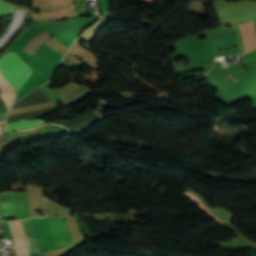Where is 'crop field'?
<instances>
[{"mask_svg": "<svg viewBox=\"0 0 256 256\" xmlns=\"http://www.w3.org/2000/svg\"><path fill=\"white\" fill-rule=\"evenodd\" d=\"M58 247L73 245V241L69 235L66 222L63 217H47ZM46 218L30 219L34 228L36 240L42 251L46 252L51 248H56L53 235Z\"/></svg>", "mask_w": 256, "mask_h": 256, "instance_id": "crop-field-1", "label": "crop field"}, {"mask_svg": "<svg viewBox=\"0 0 256 256\" xmlns=\"http://www.w3.org/2000/svg\"><path fill=\"white\" fill-rule=\"evenodd\" d=\"M0 90L1 94L0 97L2 98L3 102L5 103L7 109L12 104L14 99V90L13 88L4 80L2 75L0 74Z\"/></svg>", "mask_w": 256, "mask_h": 256, "instance_id": "crop-field-6", "label": "crop field"}, {"mask_svg": "<svg viewBox=\"0 0 256 256\" xmlns=\"http://www.w3.org/2000/svg\"><path fill=\"white\" fill-rule=\"evenodd\" d=\"M29 67L14 53L10 52L0 59V72L17 91L30 75Z\"/></svg>", "mask_w": 256, "mask_h": 256, "instance_id": "crop-field-2", "label": "crop field"}, {"mask_svg": "<svg viewBox=\"0 0 256 256\" xmlns=\"http://www.w3.org/2000/svg\"><path fill=\"white\" fill-rule=\"evenodd\" d=\"M44 121H40L38 119L30 120L26 122L25 120L7 124L6 130H13V129H30L36 127L39 123H43Z\"/></svg>", "mask_w": 256, "mask_h": 256, "instance_id": "crop-field-9", "label": "crop field"}, {"mask_svg": "<svg viewBox=\"0 0 256 256\" xmlns=\"http://www.w3.org/2000/svg\"><path fill=\"white\" fill-rule=\"evenodd\" d=\"M0 218H14L12 193H0Z\"/></svg>", "mask_w": 256, "mask_h": 256, "instance_id": "crop-field-5", "label": "crop field"}, {"mask_svg": "<svg viewBox=\"0 0 256 256\" xmlns=\"http://www.w3.org/2000/svg\"><path fill=\"white\" fill-rule=\"evenodd\" d=\"M10 222L12 224L10 225V227H11L12 236L14 238L17 256L29 255L30 253L27 249V245L25 243L24 236H23V230L19 221H10Z\"/></svg>", "mask_w": 256, "mask_h": 256, "instance_id": "crop-field-3", "label": "crop field"}, {"mask_svg": "<svg viewBox=\"0 0 256 256\" xmlns=\"http://www.w3.org/2000/svg\"><path fill=\"white\" fill-rule=\"evenodd\" d=\"M26 221H27V224H28V228H29V231H30V234H31V238H32V241H33V244H34L35 251L37 253H41V251L37 247L36 240H35V237H34V233H33V229H32V225L30 223V220L27 219ZM26 221L22 220V221H20V223H21V225L23 227L26 243L28 245L29 250L35 252L34 248H33V244H32L31 238H30V234H29V231H28V228H27Z\"/></svg>", "mask_w": 256, "mask_h": 256, "instance_id": "crop-field-8", "label": "crop field"}, {"mask_svg": "<svg viewBox=\"0 0 256 256\" xmlns=\"http://www.w3.org/2000/svg\"><path fill=\"white\" fill-rule=\"evenodd\" d=\"M15 205V219L28 218L29 203L27 194L13 193Z\"/></svg>", "mask_w": 256, "mask_h": 256, "instance_id": "crop-field-4", "label": "crop field"}, {"mask_svg": "<svg viewBox=\"0 0 256 256\" xmlns=\"http://www.w3.org/2000/svg\"><path fill=\"white\" fill-rule=\"evenodd\" d=\"M13 8H15V6L7 4L0 0V17L6 15L8 13H11Z\"/></svg>", "mask_w": 256, "mask_h": 256, "instance_id": "crop-field-10", "label": "crop field"}, {"mask_svg": "<svg viewBox=\"0 0 256 256\" xmlns=\"http://www.w3.org/2000/svg\"><path fill=\"white\" fill-rule=\"evenodd\" d=\"M44 212L50 215H68L72 214L71 210H68L46 198H44Z\"/></svg>", "mask_w": 256, "mask_h": 256, "instance_id": "crop-field-7", "label": "crop field"}]
</instances>
